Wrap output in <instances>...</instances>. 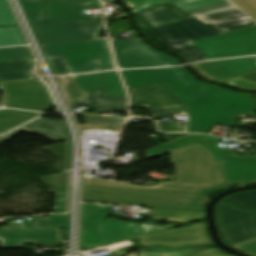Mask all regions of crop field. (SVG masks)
<instances>
[{"instance_id":"crop-field-1","label":"crop field","mask_w":256,"mask_h":256,"mask_svg":"<svg viewBox=\"0 0 256 256\" xmlns=\"http://www.w3.org/2000/svg\"><path fill=\"white\" fill-rule=\"evenodd\" d=\"M169 161L175 166L176 182L141 186L84 177L83 200L203 211L208 194L229 187L222 163L197 145L173 151Z\"/></svg>"},{"instance_id":"crop-field-2","label":"crop field","mask_w":256,"mask_h":256,"mask_svg":"<svg viewBox=\"0 0 256 256\" xmlns=\"http://www.w3.org/2000/svg\"><path fill=\"white\" fill-rule=\"evenodd\" d=\"M127 88L164 83L186 104L187 132L207 133L215 124L236 127L235 115L253 113L251 95L199 83L182 68L120 71Z\"/></svg>"},{"instance_id":"crop-field-3","label":"crop field","mask_w":256,"mask_h":256,"mask_svg":"<svg viewBox=\"0 0 256 256\" xmlns=\"http://www.w3.org/2000/svg\"><path fill=\"white\" fill-rule=\"evenodd\" d=\"M159 47L187 62L256 55V25L223 34L193 18L144 31Z\"/></svg>"},{"instance_id":"crop-field-4","label":"crop field","mask_w":256,"mask_h":256,"mask_svg":"<svg viewBox=\"0 0 256 256\" xmlns=\"http://www.w3.org/2000/svg\"><path fill=\"white\" fill-rule=\"evenodd\" d=\"M215 218L221 240L229 247L256 239V212L238 210L220 201L215 207Z\"/></svg>"},{"instance_id":"crop-field-5","label":"crop field","mask_w":256,"mask_h":256,"mask_svg":"<svg viewBox=\"0 0 256 256\" xmlns=\"http://www.w3.org/2000/svg\"><path fill=\"white\" fill-rule=\"evenodd\" d=\"M178 224L160 226L150 223H131L107 219L101 224L82 227L80 244L85 249L144 235Z\"/></svg>"},{"instance_id":"crop-field-6","label":"crop field","mask_w":256,"mask_h":256,"mask_svg":"<svg viewBox=\"0 0 256 256\" xmlns=\"http://www.w3.org/2000/svg\"><path fill=\"white\" fill-rule=\"evenodd\" d=\"M31 26L41 45L97 40L103 31L101 19L42 23Z\"/></svg>"},{"instance_id":"crop-field-7","label":"crop field","mask_w":256,"mask_h":256,"mask_svg":"<svg viewBox=\"0 0 256 256\" xmlns=\"http://www.w3.org/2000/svg\"><path fill=\"white\" fill-rule=\"evenodd\" d=\"M0 86L5 107L44 112L53 106L47 88L36 80L1 82Z\"/></svg>"},{"instance_id":"crop-field-8","label":"crop field","mask_w":256,"mask_h":256,"mask_svg":"<svg viewBox=\"0 0 256 256\" xmlns=\"http://www.w3.org/2000/svg\"><path fill=\"white\" fill-rule=\"evenodd\" d=\"M119 68L173 66L175 59L143 44L139 39L112 40Z\"/></svg>"},{"instance_id":"crop-field-9","label":"crop field","mask_w":256,"mask_h":256,"mask_svg":"<svg viewBox=\"0 0 256 256\" xmlns=\"http://www.w3.org/2000/svg\"><path fill=\"white\" fill-rule=\"evenodd\" d=\"M128 91L131 106H145L154 119L171 118L170 114L186 110L185 104L164 84L130 88Z\"/></svg>"},{"instance_id":"crop-field-10","label":"crop field","mask_w":256,"mask_h":256,"mask_svg":"<svg viewBox=\"0 0 256 256\" xmlns=\"http://www.w3.org/2000/svg\"><path fill=\"white\" fill-rule=\"evenodd\" d=\"M47 58L63 56L70 73L98 71L95 54L98 41L42 46Z\"/></svg>"},{"instance_id":"crop-field-11","label":"crop field","mask_w":256,"mask_h":256,"mask_svg":"<svg viewBox=\"0 0 256 256\" xmlns=\"http://www.w3.org/2000/svg\"><path fill=\"white\" fill-rule=\"evenodd\" d=\"M139 238L142 245L150 247H190L210 244L203 223L165 229Z\"/></svg>"},{"instance_id":"crop-field-12","label":"crop field","mask_w":256,"mask_h":256,"mask_svg":"<svg viewBox=\"0 0 256 256\" xmlns=\"http://www.w3.org/2000/svg\"><path fill=\"white\" fill-rule=\"evenodd\" d=\"M133 15L160 4L172 2L191 18L234 8L227 0H124Z\"/></svg>"},{"instance_id":"crop-field-13","label":"crop field","mask_w":256,"mask_h":256,"mask_svg":"<svg viewBox=\"0 0 256 256\" xmlns=\"http://www.w3.org/2000/svg\"><path fill=\"white\" fill-rule=\"evenodd\" d=\"M203 78L225 82L256 71V59L245 57L233 60L210 61L192 65Z\"/></svg>"},{"instance_id":"crop-field-14","label":"crop field","mask_w":256,"mask_h":256,"mask_svg":"<svg viewBox=\"0 0 256 256\" xmlns=\"http://www.w3.org/2000/svg\"><path fill=\"white\" fill-rule=\"evenodd\" d=\"M65 242H68V230L64 229ZM62 242L61 229L26 230L0 233V248H18L22 244Z\"/></svg>"},{"instance_id":"crop-field-15","label":"crop field","mask_w":256,"mask_h":256,"mask_svg":"<svg viewBox=\"0 0 256 256\" xmlns=\"http://www.w3.org/2000/svg\"><path fill=\"white\" fill-rule=\"evenodd\" d=\"M224 179L230 185L256 182V156L223 158Z\"/></svg>"},{"instance_id":"crop-field-16","label":"crop field","mask_w":256,"mask_h":256,"mask_svg":"<svg viewBox=\"0 0 256 256\" xmlns=\"http://www.w3.org/2000/svg\"><path fill=\"white\" fill-rule=\"evenodd\" d=\"M139 28L144 30L184 19H189L186 14L172 3L157 6L144 11L134 17Z\"/></svg>"},{"instance_id":"crop-field-17","label":"crop field","mask_w":256,"mask_h":256,"mask_svg":"<svg viewBox=\"0 0 256 256\" xmlns=\"http://www.w3.org/2000/svg\"><path fill=\"white\" fill-rule=\"evenodd\" d=\"M243 16L246 15L243 12H241L238 8H234L218 13L197 17V19L201 20L206 24L212 23L219 30L225 33L247 26L255 25V23L251 21L249 18H241Z\"/></svg>"},{"instance_id":"crop-field-18","label":"crop field","mask_w":256,"mask_h":256,"mask_svg":"<svg viewBox=\"0 0 256 256\" xmlns=\"http://www.w3.org/2000/svg\"><path fill=\"white\" fill-rule=\"evenodd\" d=\"M22 129L43 134L55 140H69L67 127L64 122L39 118L9 134L0 137V142L10 139Z\"/></svg>"},{"instance_id":"crop-field-19","label":"crop field","mask_w":256,"mask_h":256,"mask_svg":"<svg viewBox=\"0 0 256 256\" xmlns=\"http://www.w3.org/2000/svg\"><path fill=\"white\" fill-rule=\"evenodd\" d=\"M61 227H68V215H47V218H35L34 223H15V221H11L7 222V226L0 227V232L25 229H52Z\"/></svg>"},{"instance_id":"crop-field-20","label":"crop field","mask_w":256,"mask_h":256,"mask_svg":"<svg viewBox=\"0 0 256 256\" xmlns=\"http://www.w3.org/2000/svg\"><path fill=\"white\" fill-rule=\"evenodd\" d=\"M101 7L100 2H90L89 5L47 1L46 18L76 17L85 15L84 10Z\"/></svg>"},{"instance_id":"crop-field-21","label":"crop field","mask_w":256,"mask_h":256,"mask_svg":"<svg viewBox=\"0 0 256 256\" xmlns=\"http://www.w3.org/2000/svg\"><path fill=\"white\" fill-rule=\"evenodd\" d=\"M34 61L0 62V82L34 78L31 74Z\"/></svg>"},{"instance_id":"crop-field-22","label":"crop field","mask_w":256,"mask_h":256,"mask_svg":"<svg viewBox=\"0 0 256 256\" xmlns=\"http://www.w3.org/2000/svg\"><path fill=\"white\" fill-rule=\"evenodd\" d=\"M38 115H40V113H32L10 109L0 110V134Z\"/></svg>"},{"instance_id":"crop-field-23","label":"crop field","mask_w":256,"mask_h":256,"mask_svg":"<svg viewBox=\"0 0 256 256\" xmlns=\"http://www.w3.org/2000/svg\"><path fill=\"white\" fill-rule=\"evenodd\" d=\"M21 2L30 23L43 22L44 1L21 0ZM85 19H93V18H89V17L56 18V19H45V21L53 22V21H69V20H85Z\"/></svg>"},{"instance_id":"crop-field-24","label":"crop field","mask_w":256,"mask_h":256,"mask_svg":"<svg viewBox=\"0 0 256 256\" xmlns=\"http://www.w3.org/2000/svg\"><path fill=\"white\" fill-rule=\"evenodd\" d=\"M151 216L166 218L168 222L185 223L204 218V212L155 208Z\"/></svg>"},{"instance_id":"crop-field-25","label":"crop field","mask_w":256,"mask_h":256,"mask_svg":"<svg viewBox=\"0 0 256 256\" xmlns=\"http://www.w3.org/2000/svg\"><path fill=\"white\" fill-rule=\"evenodd\" d=\"M90 96L91 105L89 108L91 109L126 112L127 102L124 98L93 94H90Z\"/></svg>"},{"instance_id":"crop-field-26","label":"crop field","mask_w":256,"mask_h":256,"mask_svg":"<svg viewBox=\"0 0 256 256\" xmlns=\"http://www.w3.org/2000/svg\"><path fill=\"white\" fill-rule=\"evenodd\" d=\"M102 85L104 94L126 98L122 83L116 71L102 73Z\"/></svg>"},{"instance_id":"crop-field-27","label":"crop field","mask_w":256,"mask_h":256,"mask_svg":"<svg viewBox=\"0 0 256 256\" xmlns=\"http://www.w3.org/2000/svg\"><path fill=\"white\" fill-rule=\"evenodd\" d=\"M111 209L112 207L110 206L83 204L82 226L100 223ZM103 211H108V213H104Z\"/></svg>"},{"instance_id":"crop-field-28","label":"crop field","mask_w":256,"mask_h":256,"mask_svg":"<svg viewBox=\"0 0 256 256\" xmlns=\"http://www.w3.org/2000/svg\"><path fill=\"white\" fill-rule=\"evenodd\" d=\"M235 206L256 211V190L238 192L223 198Z\"/></svg>"},{"instance_id":"crop-field-29","label":"crop field","mask_w":256,"mask_h":256,"mask_svg":"<svg viewBox=\"0 0 256 256\" xmlns=\"http://www.w3.org/2000/svg\"><path fill=\"white\" fill-rule=\"evenodd\" d=\"M25 41L17 26L0 27V46L24 45Z\"/></svg>"},{"instance_id":"crop-field-30","label":"crop field","mask_w":256,"mask_h":256,"mask_svg":"<svg viewBox=\"0 0 256 256\" xmlns=\"http://www.w3.org/2000/svg\"><path fill=\"white\" fill-rule=\"evenodd\" d=\"M73 79L76 82L81 92H86V93L100 92L99 73L74 76Z\"/></svg>"},{"instance_id":"crop-field-31","label":"crop field","mask_w":256,"mask_h":256,"mask_svg":"<svg viewBox=\"0 0 256 256\" xmlns=\"http://www.w3.org/2000/svg\"><path fill=\"white\" fill-rule=\"evenodd\" d=\"M33 59L27 47L0 49V61Z\"/></svg>"},{"instance_id":"crop-field-32","label":"crop field","mask_w":256,"mask_h":256,"mask_svg":"<svg viewBox=\"0 0 256 256\" xmlns=\"http://www.w3.org/2000/svg\"><path fill=\"white\" fill-rule=\"evenodd\" d=\"M98 66L100 70L115 69L113 61L110 57L108 41H100V49L98 52Z\"/></svg>"},{"instance_id":"crop-field-33","label":"crop field","mask_w":256,"mask_h":256,"mask_svg":"<svg viewBox=\"0 0 256 256\" xmlns=\"http://www.w3.org/2000/svg\"><path fill=\"white\" fill-rule=\"evenodd\" d=\"M17 25L6 0H0V26Z\"/></svg>"},{"instance_id":"crop-field-34","label":"crop field","mask_w":256,"mask_h":256,"mask_svg":"<svg viewBox=\"0 0 256 256\" xmlns=\"http://www.w3.org/2000/svg\"><path fill=\"white\" fill-rule=\"evenodd\" d=\"M225 83L241 88L256 89V72Z\"/></svg>"},{"instance_id":"crop-field-35","label":"crop field","mask_w":256,"mask_h":256,"mask_svg":"<svg viewBox=\"0 0 256 256\" xmlns=\"http://www.w3.org/2000/svg\"><path fill=\"white\" fill-rule=\"evenodd\" d=\"M68 82L64 87L65 94L69 100V102H72L79 97L85 95V93H81L76 86L75 82L73 81L72 77H67Z\"/></svg>"},{"instance_id":"crop-field-36","label":"crop field","mask_w":256,"mask_h":256,"mask_svg":"<svg viewBox=\"0 0 256 256\" xmlns=\"http://www.w3.org/2000/svg\"><path fill=\"white\" fill-rule=\"evenodd\" d=\"M256 21V0H231Z\"/></svg>"},{"instance_id":"crop-field-37","label":"crop field","mask_w":256,"mask_h":256,"mask_svg":"<svg viewBox=\"0 0 256 256\" xmlns=\"http://www.w3.org/2000/svg\"><path fill=\"white\" fill-rule=\"evenodd\" d=\"M54 74H68L66 65L59 57L47 59Z\"/></svg>"},{"instance_id":"crop-field-38","label":"crop field","mask_w":256,"mask_h":256,"mask_svg":"<svg viewBox=\"0 0 256 256\" xmlns=\"http://www.w3.org/2000/svg\"><path fill=\"white\" fill-rule=\"evenodd\" d=\"M210 140H214V138L208 137V136H202V137L174 143L173 145L176 146L178 149H180V148H184L187 146L195 145V144L210 141Z\"/></svg>"},{"instance_id":"crop-field-39","label":"crop field","mask_w":256,"mask_h":256,"mask_svg":"<svg viewBox=\"0 0 256 256\" xmlns=\"http://www.w3.org/2000/svg\"><path fill=\"white\" fill-rule=\"evenodd\" d=\"M161 132H184L185 125H172V123H157Z\"/></svg>"},{"instance_id":"crop-field-40","label":"crop field","mask_w":256,"mask_h":256,"mask_svg":"<svg viewBox=\"0 0 256 256\" xmlns=\"http://www.w3.org/2000/svg\"><path fill=\"white\" fill-rule=\"evenodd\" d=\"M250 255L256 256V240L233 247Z\"/></svg>"},{"instance_id":"crop-field-41","label":"crop field","mask_w":256,"mask_h":256,"mask_svg":"<svg viewBox=\"0 0 256 256\" xmlns=\"http://www.w3.org/2000/svg\"><path fill=\"white\" fill-rule=\"evenodd\" d=\"M66 205V194H56V204L54 211L57 213H63Z\"/></svg>"},{"instance_id":"crop-field-42","label":"crop field","mask_w":256,"mask_h":256,"mask_svg":"<svg viewBox=\"0 0 256 256\" xmlns=\"http://www.w3.org/2000/svg\"><path fill=\"white\" fill-rule=\"evenodd\" d=\"M186 256H227V255H224L216 248H211L202 252H197V253H193Z\"/></svg>"},{"instance_id":"crop-field-43","label":"crop field","mask_w":256,"mask_h":256,"mask_svg":"<svg viewBox=\"0 0 256 256\" xmlns=\"http://www.w3.org/2000/svg\"><path fill=\"white\" fill-rule=\"evenodd\" d=\"M52 1H62V2H73V3L88 4L89 1H98V0H52Z\"/></svg>"},{"instance_id":"crop-field-44","label":"crop field","mask_w":256,"mask_h":256,"mask_svg":"<svg viewBox=\"0 0 256 256\" xmlns=\"http://www.w3.org/2000/svg\"><path fill=\"white\" fill-rule=\"evenodd\" d=\"M88 104H90V97L89 96L73 103V105H88Z\"/></svg>"},{"instance_id":"crop-field-45","label":"crop field","mask_w":256,"mask_h":256,"mask_svg":"<svg viewBox=\"0 0 256 256\" xmlns=\"http://www.w3.org/2000/svg\"><path fill=\"white\" fill-rule=\"evenodd\" d=\"M126 253H127V251L121 252V253H117V254H113V255H109V256H121V255L126 254Z\"/></svg>"}]
</instances>
